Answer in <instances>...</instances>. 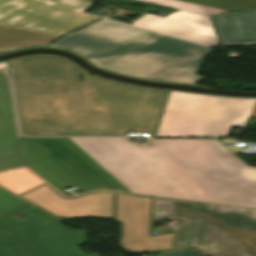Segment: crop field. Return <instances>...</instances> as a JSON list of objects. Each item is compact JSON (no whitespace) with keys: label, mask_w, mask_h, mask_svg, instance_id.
Returning a JSON list of instances; mask_svg holds the SVG:
<instances>
[{"label":"crop field","mask_w":256,"mask_h":256,"mask_svg":"<svg viewBox=\"0 0 256 256\" xmlns=\"http://www.w3.org/2000/svg\"><path fill=\"white\" fill-rule=\"evenodd\" d=\"M42 183L44 181L25 168L0 173V185L18 195Z\"/></svg>","instance_id":"obj_17"},{"label":"crop field","mask_w":256,"mask_h":256,"mask_svg":"<svg viewBox=\"0 0 256 256\" xmlns=\"http://www.w3.org/2000/svg\"><path fill=\"white\" fill-rule=\"evenodd\" d=\"M184 11L214 15L256 7V0H139Z\"/></svg>","instance_id":"obj_15"},{"label":"crop field","mask_w":256,"mask_h":256,"mask_svg":"<svg viewBox=\"0 0 256 256\" xmlns=\"http://www.w3.org/2000/svg\"><path fill=\"white\" fill-rule=\"evenodd\" d=\"M9 64L25 136H124L133 129L153 137L170 91L91 75L55 55Z\"/></svg>","instance_id":"obj_1"},{"label":"crop field","mask_w":256,"mask_h":256,"mask_svg":"<svg viewBox=\"0 0 256 256\" xmlns=\"http://www.w3.org/2000/svg\"><path fill=\"white\" fill-rule=\"evenodd\" d=\"M24 203L26 202L0 187V215Z\"/></svg>","instance_id":"obj_19"},{"label":"crop field","mask_w":256,"mask_h":256,"mask_svg":"<svg viewBox=\"0 0 256 256\" xmlns=\"http://www.w3.org/2000/svg\"><path fill=\"white\" fill-rule=\"evenodd\" d=\"M256 98L172 90L158 132L160 137H226L231 126L245 127Z\"/></svg>","instance_id":"obj_4"},{"label":"crop field","mask_w":256,"mask_h":256,"mask_svg":"<svg viewBox=\"0 0 256 256\" xmlns=\"http://www.w3.org/2000/svg\"><path fill=\"white\" fill-rule=\"evenodd\" d=\"M86 0H0V50L50 43L102 16Z\"/></svg>","instance_id":"obj_3"},{"label":"crop field","mask_w":256,"mask_h":256,"mask_svg":"<svg viewBox=\"0 0 256 256\" xmlns=\"http://www.w3.org/2000/svg\"><path fill=\"white\" fill-rule=\"evenodd\" d=\"M5 67H8L6 62L0 63V68H5Z\"/></svg>","instance_id":"obj_23"},{"label":"crop field","mask_w":256,"mask_h":256,"mask_svg":"<svg viewBox=\"0 0 256 256\" xmlns=\"http://www.w3.org/2000/svg\"><path fill=\"white\" fill-rule=\"evenodd\" d=\"M131 24L134 27L198 43L219 44L214 25L208 15L180 11L162 18L147 14Z\"/></svg>","instance_id":"obj_12"},{"label":"crop field","mask_w":256,"mask_h":256,"mask_svg":"<svg viewBox=\"0 0 256 256\" xmlns=\"http://www.w3.org/2000/svg\"><path fill=\"white\" fill-rule=\"evenodd\" d=\"M251 116H252V117H256V106H255V109H254V111H253V113H252Z\"/></svg>","instance_id":"obj_25"},{"label":"crop field","mask_w":256,"mask_h":256,"mask_svg":"<svg viewBox=\"0 0 256 256\" xmlns=\"http://www.w3.org/2000/svg\"><path fill=\"white\" fill-rule=\"evenodd\" d=\"M191 246L208 256H256V210L197 203Z\"/></svg>","instance_id":"obj_7"},{"label":"crop field","mask_w":256,"mask_h":256,"mask_svg":"<svg viewBox=\"0 0 256 256\" xmlns=\"http://www.w3.org/2000/svg\"><path fill=\"white\" fill-rule=\"evenodd\" d=\"M49 213L63 218H114L115 193H95L64 198L46 183L20 195Z\"/></svg>","instance_id":"obj_11"},{"label":"crop field","mask_w":256,"mask_h":256,"mask_svg":"<svg viewBox=\"0 0 256 256\" xmlns=\"http://www.w3.org/2000/svg\"><path fill=\"white\" fill-rule=\"evenodd\" d=\"M159 35L121 23L100 20L50 47L82 56L98 67Z\"/></svg>","instance_id":"obj_9"},{"label":"crop field","mask_w":256,"mask_h":256,"mask_svg":"<svg viewBox=\"0 0 256 256\" xmlns=\"http://www.w3.org/2000/svg\"><path fill=\"white\" fill-rule=\"evenodd\" d=\"M221 45L256 44V9L212 17Z\"/></svg>","instance_id":"obj_14"},{"label":"crop field","mask_w":256,"mask_h":256,"mask_svg":"<svg viewBox=\"0 0 256 256\" xmlns=\"http://www.w3.org/2000/svg\"><path fill=\"white\" fill-rule=\"evenodd\" d=\"M69 139L132 193L256 208V168L216 140Z\"/></svg>","instance_id":"obj_2"},{"label":"crop field","mask_w":256,"mask_h":256,"mask_svg":"<svg viewBox=\"0 0 256 256\" xmlns=\"http://www.w3.org/2000/svg\"><path fill=\"white\" fill-rule=\"evenodd\" d=\"M153 198L116 193L115 221L120 222L122 249L135 253L172 249L174 235L151 236Z\"/></svg>","instance_id":"obj_10"},{"label":"crop field","mask_w":256,"mask_h":256,"mask_svg":"<svg viewBox=\"0 0 256 256\" xmlns=\"http://www.w3.org/2000/svg\"><path fill=\"white\" fill-rule=\"evenodd\" d=\"M188 249L168 251L164 252L161 256H179L181 253L184 254Z\"/></svg>","instance_id":"obj_21"},{"label":"crop field","mask_w":256,"mask_h":256,"mask_svg":"<svg viewBox=\"0 0 256 256\" xmlns=\"http://www.w3.org/2000/svg\"><path fill=\"white\" fill-rule=\"evenodd\" d=\"M14 50H5V51H1L0 54H4V53H8V52H12Z\"/></svg>","instance_id":"obj_24"},{"label":"crop field","mask_w":256,"mask_h":256,"mask_svg":"<svg viewBox=\"0 0 256 256\" xmlns=\"http://www.w3.org/2000/svg\"><path fill=\"white\" fill-rule=\"evenodd\" d=\"M0 256H27L0 221Z\"/></svg>","instance_id":"obj_18"},{"label":"crop field","mask_w":256,"mask_h":256,"mask_svg":"<svg viewBox=\"0 0 256 256\" xmlns=\"http://www.w3.org/2000/svg\"><path fill=\"white\" fill-rule=\"evenodd\" d=\"M195 203L156 198L155 218H180L175 249L188 245Z\"/></svg>","instance_id":"obj_16"},{"label":"crop field","mask_w":256,"mask_h":256,"mask_svg":"<svg viewBox=\"0 0 256 256\" xmlns=\"http://www.w3.org/2000/svg\"><path fill=\"white\" fill-rule=\"evenodd\" d=\"M30 206H32V205L29 204V203H26V204H24V205H22V206H20V207H18V208H16V209H14V210H11V211H9V212H7V213L1 215V216H0V220H2V219H4V218H7V217H9V216H12V215H14V214H17V213H19L20 211H22V210H24V209H26V208H28V207H30Z\"/></svg>","instance_id":"obj_20"},{"label":"crop field","mask_w":256,"mask_h":256,"mask_svg":"<svg viewBox=\"0 0 256 256\" xmlns=\"http://www.w3.org/2000/svg\"><path fill=\"white\" fill-rule=\"evenodd\" d=\"M28 168L54 186L127 191L68 138H23ZM130 193V192H129Z\"/></svg>","instance_id":"obj_6"},{"label":"crop field","mask_w":256,"mask_h":256,"mask_svg":"<svg viewBox=\"0 0 256 256\" xmlns=\"http://www.w3.org/2000/svg\"><path fill=\"white\" fill-rule=\"evenodd\" d=\"M25 166L11 83L0 71V171Z\"/></svg>","instance_id":"obj_13"},{"label":"crop field","mask_w":256,"mask_h":256,"mask_svg":"<svg viewBox=\"0 0 256 256\" xmlns=\"http://www.w3.org/2000/svg\"><path fill=\"white\" fill-rule=\"evenodd\" d=\"M213 48L159 36L100 66L107 71L168 83L196 85L201 61Z\"/></svg>","instance_id":"obj_5"},{"label":"crop field","mask_w":256,"mask_h":256,"mask_svg":"<svg viewBox=\"0 0 256 256\" xmlns=\"http://www.w3.org/2000/svg\"><path fill=\"white\" fill-rule=\"evenodd\" d=\"M183 256H205L196 249H189Z\"/></svg>","instance_id":"obj_22"},{"label":"crop field","mask_w":256,"mask_h":256,"mask_svg":"<svg viewBox=\"0 0 256 256\" xmlns=\"http://www.w3.org/2000/svg\"><path fill=\"white\" fill-rule=\"evenodd\" d=\"M21 214L20 221L10 217L2 223L28 256H98L79 252L77 245L87 241L84 230L64 227L35 207Z\"/></svg>","instance_id":"obj_8"}]
</instances>
